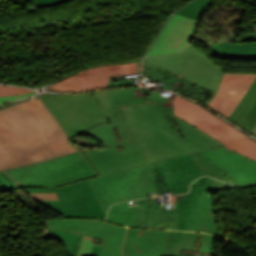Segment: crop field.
Here are the masks:
<instances>
[{"label":"crop field","mask_w":256,"mask_h":256,"mask_svg":"<svg viewBox=\"0 0 256 256\" xmlns=\"http://www.w3.org/2000/svg\"><path fill=\"white\" fill-rule=\"evenodd\" d=\"M40 96L0 108V172L80 152Z\"/></svg>","instance_id":"obj_1"},{"label":"crop field","mask_w":256,"mask_h":256,"mask_svg":"<svg viewBox=\"0 0 256 256\" xmlns=\"http://www.w3.org/2000/svg\"><path fill=\"white\" fill-rule=\"evenodd\" d=\"M159 92L152 90L149 101H145L143 89L140 88L91 93L112 122L81 133L98 139L106 147L104 150L81 148L100 175L148 163L121 106L168 101L176 95L172 93L169 97H162L158 96Z\"/></svg>","instance_id":"obj_2"},{"label":"crop field","mask_w":256,"mask_h":256,"mask_svg":"<svg viewBox=\"0 0 256 256\" xmlns=\"http://www.w3.org/2000/svg\"><path fill=\"white\" fill-rule=\"evenodd\" d=\"M123 109L149 162L223 146L175 116L172 101Z\"/></svg>","instance_id":"obj_3"},{"label":"crop field","mask_w":256,"mask_h":256,"mask_svg":"<svg viewBox=\"0 0 256 256\" xmlns=\"http://www.w3.org/2000/svg\"><path fill=\"white\" fill-rule=\"evenodd\" d=\"M23 187L55 188L99 176L81 153L8 171Z\"/></svg>","instance_id":"obj_4"},{"label":"crop field","mask_w":256,"mask_h":256,"mask_svg":"<svg viewBox=\"0 0 256 256\" xmlns=\"http://www.w3.org/2000/svg\"><path fill=\"white\" fill-rule=\"evenodd\" d=\"M89 183L105 216L116 202L151 197L156 191L151 163L92 178Z\"/></svg>","instance_id":"obj_5"},{"label":"crop field","mask_w":256,"mask_h":256,"mask_svg":"<svg viewBox=\"0 0 256 256\" xmlns=\"http://www.w3.org/2000/svg\"><path fill=\"white\" fill-rule=\"evenodd\" d=\"M152 164L155 169L157 194L165 191L172 194L186 193L189 191V184L203 175L240 185L199 152L163 159Z\"/></svg>","instance_id":"obj_6"},{"label":"crop field","mask_w":256,"mask_h":256,"mask_svg":"<svg viewBox=\"0 0 256 256\" xmlns=\"http://www.w3.org/2000/svg\"><path fill=\"white\" fill-rule=\"evenodd\" d=\"M236 186L202 177L193 182L191 192L178 195V230L203 231L220 235L215 223V209L212 191Z\"/></svg>","instance_id":"obj_7"},{"label":"crop field","mask_w":256,"mask_h":256,"mask_svg":"<svg viewBox=\"0 0 256 256\" xmlns=\"http://www.w3.org/2000/svg\"><path fill=\"white\" fill-rule=\"evenodd\" d=\"M40 96L71 137L108 119L90 93Z\"/></svg>","instance_id":"obj_8"},{"label":"crop field","mask_w":256,"mask_h":256,"mask_svg":"<svg viewBox=\"0 0 256 256\" xmlns=\"http://www.w3.org/2000/svg\"><path fill=\"white\" fill-rule=\"evenodd\" d=\"M144 60L216 92L223 75V67L214 65L210 58L192 45L175 54L148 57Z\"/></svg>","instance_id":"obj_9"},{"label":"crop field","mask_w":256,"mask_h":256,"mask_svg":"<svg viewBox=\"0 0 256 256\" xmlns=\"http://www.w3.org/2000/svg\"><path fill=\"white\" fill-rule=\"evenodd\" d=\"M45 225L82 233L104 240L98 256H122L121 244L126 227L102 220L85 218L43 219Z\"/></svg>","instance_id":"obj_10"},{"label":"crop field","mask_w":256,"mask_h":256,"mask_svg":"<svg viewBox=\"0 0 256 256\" xmlns=\"http://www.w3.org/2000/svg\"><path fill=\"white\" fill-rule=\"evenodd\" d=\"M173 103L175 107V115L181 117L183 120L225 145L243 141L250 137L199 105L183 97L176 95Z\"/></svg>","instance_id":"obj_11"},{"label":"crop field","mask_w":256,"mask_h":256,"mask_svg":"<svg viewBox=\"0 0 256 256\" xmlns=\"http://www.w3.org/2000/svg\"><path fill=\"white\" fill-rule=\"evenodd\" d=\"M55 190L65 216L105 218L87 180Z\"/></svg>","instance_id":"obj_12"},{"label":"crop field","mask_w":256,"mask_h":256,"mask_svg":"<svg viewBox=\"0 0 256 256\" xmlns=\"http://www.w3.org/2000/svg\"><path fill=\"white\" fill-rule=\"evenodd\" d=\"M137 74L136 62L133 64H122L98 67L86 70L61 82H58L47 90L54 91H82L107 87L110 75Z\"/></svg>","instance_id":"obj_13"},{"label":"crop field","mask_w":256,"mask_h":256,"mask_svg":"<svg viewBox=\"0 0 256 256\" xmlns=\"http://www.w3.org/2000/svg\"><path fill=\"white\" fill-rule=\"evenodd\" d=\"M169 231L129 227L124 256H165Z\"/></svg>","instance_id":"obj_14"},{"label":"crop field","mask_w":256,"mask_h":256,"mask_svg":"<svg viewBox=\"0 0 256 256\" xmlns=\"http://www.w3.org/2000/svg\"><path fill=\"white\" fill-rule=\"evenodd\" d=\"M196 22L194 19L175 14L147 56L183 50L193 35Z\"/></svg>","instance_id":"obj_15"},{"label":"crop field","mask_w":256,"mask_h":256,"mask_svg":"<svg viewBox=\"0 0 256 256\" xmlns=\"http://www.w3.org/2000/svg\"><path fill=\"white\" fill-rule=\"evenodd\" d=\"M256 74L224 73L217 95L208 105L226 117H229Z\"/></svg>","instance_id":"obj_16"},{"label":"crop field","mask_w":256,"mask_h":256,"mask_svg":"<svg viewBox=\"0 0 256 256\" xmlns=\"http://www.w3.org/2000/svg\"><path fill=\"white\" fill-rule=\"evenodd\" d=\"M241 185L256 182V162L224 147L201 151Z\"/></svg>","instance_id":"obj_17"},{"label":"crop field","mask_w":256,"mask_h":256,"mask_svg":"<svg viewBox=\"0 0 256 256\" xmlns=\"http://www.w3.org/2000/svg\"><path fill=\"white\" fill-rule=\"evenodd\" d=\"M149 73V74H148ZM143 76H150L153 79L175 83L174 91L185 94L204 105L210 103L216 92L190 82L178 75L148 63L143 60ZM184 95V96H185Z\"/></svg>","instance_id":"obj_18"},{"label":"crop field","mask_w":256,"mask_h":256,"mask_svg":"<svg viewBox=\"0 0 256 256\" xmlns=\"http://www.w3.org/2000/svg\"><path fill=\"white\" fill-rule=\"evenodd\" d=\"M178 210L159 209V203L139 200L138 226L177 230Z\"/></svg>","instance_id":"obj_19"},{"label":"crop field","mask_w":256,"mask_h":256,"mask_svg":"<svg viewBox=\"0 0 256 256\" xmlns=\"http://www.w3.org/2000/svg\"><path fill=\"white\" fill-rule=\"evenodd\" d=\"M230 119L249 132L256 124V79L249 87L239 104L232 112Z\"/></svg>","instance_id":"obj_20"},{"label":"crop field","mask_w":256,"mask_h":256,"mask_svg":"<svg viewBox=\"0 0 256 256\" xmlns=\"http://www.w3.org/2000/svg\"><path fill=\"white\" fill-rule=\"evenodd\" d=\"M48 228L62 240L69 251V256H97L101 246L94 245L93 238Z\"/></svg>","instance_id":"obj_21"},{"label":"crop field","mask_w":256,"mask_h":256,"mask_svg":"<svg viewBox=\"0 0 256 256\" xmlns=\"http://www.w3.org/2000/svg\"><path fill=\"white\" fill-rule=\"evenodd\" d=\"M255 42H232L207 45L213 55L237 60H256Z\"/></svg>","instance_id":"obj_22"},{"label":"crop field","mask_w":256,"mask_h":256,"mask_svg":"<svg viewBox=\"0 0 256 256\" xmlns=\"http://www.w3.org/2000/svg\"><path fill=\"white\" fill-rule=\"evenodd\" d=\"M202 233L170 231L166 256H179L181 249L198 251Z\"/></svg>","instance_id":"obj_23"},{"label":"crop field","mask_w":256,"mask_h":256,"mask_svg":"<svg viewBox=\"0 0 256 256\" xmlns=\"http://www.w3.org/2000/svg\"><path fill=\"white\" fill-rule=\"evenodd\" d=\"M137 217L138 206L129 207V201L115 204L108 212V220L129 226H137Z\"/></svg>","instance_id":"obj_24"},{"label":"crop field","mask_w":256,"mask_h":256,"mask_svg":"<svg viewBox=\"0 0 256 256\" xmlns=\"http://www.w3.org/2000/svg\"><path fill=\"white\" fill-rule=\"evenodd\" d=\"M25 189L34 200L63 214L54 189Z\"/></svg>","instance_id":"obj_25"},{"label":"crop field","mask_w":256,"mask_h":256,"mask_svg":"<svg viewBox=\"0 0 256 256\" xmlns=\"http://www.w3.org/2000/svg\"><path fill=\"white\" fill-rule=\"evenodd\" d=\"M224 147L256 161V141L251 137L243 142Z\"/></svg>","instance_id":"obj_26"},{"label":"crop field","mask_w":256,"mask_h":256,"mask_svg":"<svg viewBox=\"0 0 256 256\" xmlns=\"http://www.w3.org/2000/svg\"><path fill=\"white\" fill-rule=\"evenodd\" d=\"M211 2L212 0H194L177 13L198 20L202 12Z\"/></svg>","instance_id":"obj_27"},{"label":"crop field","mask_w":256,"mask_h":256,"mask_svg":"<svg viewBox=\"0 0 256 256\" xmlns=\"http://www.w3.org/2000/svg\"><path fill=\"white\" fill-rule=\"evenodd\" d=\"M23 189L7 172L0 174V191Z\"/></svg>","instance_id":"obj_28"},{"label":"crop field","mask_w":256,"mask_h":256,"mask_svg":"<svg viewBox=\"0 0 256 256\" xmlns=\"http://www.w3.org/2000/svg\"><path fill=\"white\" fill-rule=\"evenodd\" d=\"M29 92H34V91L29 89L18 88V87L0 85V96L18 95V94L29 93Z\"/></svg>","instance_id":"obj_29"},{"label":"crop field","mask_w":256,"mask_h":256,"mask_svg":"<svg viewBox=\"0 0 256 256\" xmlns=\"http://www.w3.org/2000/svg\"><path fill=\"white\" fill-rule=\"evenodd\" d=\"M214 237L215 236H213V235L203 233L199 250L210 252L213 248Z\"/></svg>","instance_id":"obj_30"},{"label":"crop field","mask_w":256,"mask_h":256,"mask_svg":"<svg viewBox=\"0 0 256 256\" xmlns=\"http://www.w3.org/2000/svg\"><path fill=\"white\" fill-rule=\"evenodd\" d=\"M32 94H35V92L34 93H30V94L18 95V96H4V97H0V105L8 103V102H11V101L18 100V99L23 98V97L30 96Z\"/></svg>","instance_id":"obj_31"},{"label":"crop field","mask_w":256,"mask_h":256,"mask_svg":"<svg viewBox=\"0 0 256 256\" xmlns=\"http://www.w3.org/2000/svg\"><path fill=\"white\" fill-rule=\"evenodd\" d=\"M134 78L110 80L109 86L132 85Z\"/></svg>","instance_id":"obj_32"},{"label":"crop field","mask_w":256,"mask_h":256,"mask_svg":"<svg viewBox=\"0 0 256 256\" xmlns=\"http://www.w3.org/2000/svg\"><path fill=\"white\" fill-rule=\"evenodd\" d=\"M64 1H67V0H32L33 4L36 7L56 4V3H60V2H64Z\"/></svg>","instance_id":"obj_33"},{"label":"crop field","mask_w":256,"mask_h":256,"mask_svg":"<svg viewBox=\"0 0 256 256\" xmlns=\"http://www.w3.org/2000/svg\"><path fill=\"white\" fill-rule=\"evenodd\" d=\"M256 40V25L253 26V33L238 38V41Z\"/></svg>","instance_id":"obj_34"},{"label":"crop field","mask_w":256,"mask_h":256,"mask_svg":"<svg viewBox=\"0 0 256 256\" xmlns=\"http://www.w3.org/2000/svg\"><path fill=\"white\" fill-rule=\"evenodd\" d=\"M250 133L253 134L254 136H256V126L254 127V129Z\"/></svg>","instance_id":"obj_35"},{"label":"crop field","mask_w":256,"mask_h":256,"mask_svg":"<svg viewBox=\"0 0 256 256\" xmlns=\"http://www.w3.org/2000/svg\"><path fill=\"white\" fill-rule=\"evenodd\" d=\"M115 78H124V76H110V79H115Z\"/></svg>","instance_id":"obj_36"},{"label":"crop field","mask_w":256,"mask_h":256,"mask_svg":"<svg viewBox=\"0 0 256 256\" xmlns=\"http://www.w3.org/2000/svg\"><path fill=\"white\" fill-rule=\"evenodd\" d=\"M174 209H178V203L175 204Z\"/></svg>","instance_id":"obj_37"}]
</instances>
